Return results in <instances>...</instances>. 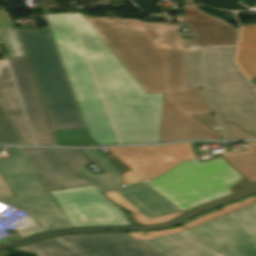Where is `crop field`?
I'll return each instance as SVG.
<instances>
[{
    "label": "crop field",
    "instance_id": "8a807250",
    "mask_svg": "<svg viewBox=\"0 0 256 256\" xmlns=\"http://www.w3.org/2000/svg\"><path fill=\"white\" fill-rule=\"evenodd\" d=\"M83 16L146 93H164L160 128L162 143L189 139L220 140V135L190 116L212 112V109L201 89L187 88L186 45L172 24ZM160 40L163 45H160Z\"/></svg>",
    "mask_w": 256,
    "mask_h": 256
},
{
    "label": "crop field",
    "instance_id": "ac0d7876",
    "mask_svg": "<svg viewBox=\"0 0 256 256\" xmlns=\"http://www.w3.org/2000/svg\"><path fill=\"white\" fill-rule=\"evenodd\" d=\"M121 144L161 143L163 93L146 94L81 13H71Z\"/></svg>",
    "mask_w": 256,
    "mask_h": 256
},
{
    "label": "crop field",
    "instance_id": "34b2d1b8",
    "mask_svg": "<svg viewBox=\"0 0 256 256\" xmlns=\"http://www.w3.org/2000/svg\"><path fill=\"white\" fill-rule=\"evenodd\" d=\"M90 138L118 143L67 13L44 14Z\"/></svg>",
    "mask_w": 256,
    "mask_h": 256
},
{
    "label": "crop field",
    "instance_id": "412701ff",
    "mask_svg": "<svg viewBox=\"0 0 256 256\" xmlns=\"http://www.w3.org/2000/svg\"><path fill=\"white\" fill-rule=\"evenodd\" d=\"M19 31L53 129L85 127L49 29Z\"/></svg>",
    "mask_w": 256,
    "mask_h": 256
},
{
    "label": "crop field",
    "instance_id": "f4fd0767",
    "mask_svg": "<svg viewBox=\"0 0 256 256\" xmlns=\"http://www.w3.org/2000/svg\"><path fill=\"white\" fill-rule=\"evenodd\" d=\"M241 178L221 158L202 163L192 159L147 183L184 212L230 196L228 188Z\"/></svg>",
    "mask_w": 256,
    "mask_h": 256
},
{
    "label": "crop field",
    "instance_id": "dd49c442",
    "mask_svg": "<svg viewBox=\"0 0 256 256\" xmlns=\"http://www.w3.org/2000/svg\"><path fill=\"white\" fill-rule=\"evenodd\" d=\"M236 45L204 46L206 94L221 121L256 135V93L233 63Z\"/></svg>",
    "mask_w": 256,
    "mask_h": 256
},
{
    "label": "crop field",
    "instance_id": "e52e79f7",
    "mask_svg": "<svg viewBox=\"0 0 256 256\" xmlns=\"http://www.w3.org/2000/svg\"><path fill=\"white\" fill-rule=\"evenodd\" d=\"M184 227L223 256H256V197L211 212Z\"/></svg>",
    "mask_w": 256,
    "mask_h": 256
},
{
    "label": "crop field",
    "instance_id": "d8731c3e",
    "mask_svg": "<svg viewBox=\"0 0 256 256\" xmlns=\"http://www.w3.org/2000/svg\"><path fill=\"white\" fill-rule=\"evenodd\" d=\"M7 148L11 159L0 160V173L42 231L71 227L19 148Z\"/></svg>",
    "mask_w": 256,
    "mask_h": 256
},
{
    "label": "crop field",
    "instance_id": "5a996713",
    "mask_svg": "<svg viewBox=\"0 0 256 256\" xmlns=\"http://www.w3.org/2000/svg\"><path fill=\"white\" fill-rule=\"evenodd\" d=\"M37 256H164L127 234L53 237L17 247Z\"/></svg>",
    "mask_w": 256,
    "mask_h": 256
},
{
    "label": "crop field",
    "instance_id": "3316defc",
    "mask_svg": "<svg viewBox=\"0 0 256 256\" xmlns=\"http://www.w3.org/2000/svg\"><path fill=\"white\" fill-rule=\"evenodd\" d=\"M72 227L130 224L93 185L49 192Z\"/></svg>",
    "mask_w": 256,
    "mask_h": 256
},
{
    "label": "crop field",
    "instance_id": "28ad6ade",
    "mask_svg": "<svg viewBox=\"0 0 256 256\" xmlns=\"http://www.w3.org/2000/svg\"><path fill=\"white\" fill-rule=\"evenodd\" d=\"M141 179L130 169L122 174V183L127 186L118 187L105 194L131 211L133 218L140 224L167 222L181 213L150 185L141 182Z\"/></svg>",
    "mask_w": 256,
    "mask_h": 256
},
{
    "label": "crop field",
    "instance_id": "d1516ede",
    "mask_svg": "<svg viewBox=\"0 0 256 256\" xmlns=\"http://www.w3.org/2000/svg\"><path fill=\"white\" fill-rule=\"evenodd\" d=\"M21 149L49 191L91 184L73 169L91 164L81 149Z\"/></svg>",
    "mask_w": 256,
    "mask_h": 256
},
{
    "label": "crop field",
    "instance_id": "22f410ed",
    "mask_svg": "<svg viewBox=\"0 0 256 256\" xmlns=\"http://www.w3.org/2000/svg\"><path fill=\"white\" fill-rule=\"evenodd\" d=\"M37 145H56L36 91L26 57L7 59Z\"/></svg>",
    "mask_w": 256,
    "mask_h": 256
},
{
    "label": "crop field",
    "instance_id": "cbeb9de0",
    "mask_svg": "<svg viewBox=\"0 0 256 256\" xmlns=\"http://www.w3.org/2000/svg\"><path fill=\"white\" fill-rule=\"evenodd\" d=\"M183 9L196 45L236 44L238 31L230 23L203 13L196 6Z\"/></svg>",
    "mask_w": 256,
    "mask_h": 256
},
{
    "label": "crop field",
    "instance_id": "5142ce71",
    "mask_svg": "<svg viewBox=\"0 0 256 256\" xmlns=\"http://www.w3.org/2000/svg\"><path fill=\"white\" fill-rule=\"evenodd\" d=\"M143 242L166 256H221L188 231Z\"/></svg>",
    "mask_w": 256,
    "mask_h": 256
},
{
    "label": "crop field",
    "instance_id": "d9b57169",
    "mask_svg": "<svg viewBox=\"0 0 256 256\" xmlns=\"http://www.w3.org/2000/svg\"><path fill=\"white\" fill-rule=\"evenodd\" d=\"M0 104L27 144L34 145L5 59L0 60Z\"/></svg>",
    "mask_w": 256,
    "mask_h": 256
},
{
    "label": "crop field",
    "instance_id": "733c2abd",
    "mask_svg": "<svg viewBox=\"0 0 256 256\" xmlns=\"http://www.w3.org/2000/svg\"><path fill=\"white\" fill-rule=\"evenodd\" d=\"M88 158L93 161L99 160L101 163L96 164L105 173L94 175L85 167L76 168L82 176H84L88 181H90L99 191L104 192L106 190L112 189L119 185L120 172L116 170L98 151L83 149Z\"/></svg>",
    "mask_w": 256,
    "mask_h": 256
},
{
    "label": "crop field",
    "instance_id": "4a817a6b",
    "mask_svg": "<svg viewBox=\"0 0 256 256\" xmlns=\"http://www.w3.org/2000/svg\"><path fill=\"white\" fill-rule=\"evenodd\" d=\"M248 151H233L221 155L253 184L256 183V141L244 143Z\"/></svg>",
    "mask_w": 256,
    "mask_h": 256
},
{
    "label": "crop field",
    "instance_id": "bc2a9ffb",
    "mask_svg": "<svg viewBox=\"0 0 256 256\" xmlns=\"http://www.w3.org/2000/svg\"><path fill=\"white\" fill-rule=\"evenodd\" d=\"M185 52L188 87L200 88L204 86L201 49L200 47H187Z\"/></svg>",
    "mask_w": 256,
    "mask_h": 256
},
{
    "label": "crop field",
    "instance_id": "214f88e0",
    "mask_svg": "<svg viewBox=\"0 0 256 256\" xmlns=\"http://www.w3.org/2000/svg\"><path fill=\"white\" fill-rule=\"evenodd\" d=\"M237 63L252 82L256 77V27L240 49Z\"/></svg>",
    "mask_w": 256,
    "mask_h": 256
},
{
    "label": "crop field",
    "instance_id": "92a150f3",
    "mask_svg": "<svg viewBox=\"0 0 256 256\" xmlns=\"http://www.w3.org/2000/svg\"><path fill=\"white\" fill-rule=\"evenodd\" d=\"M54 132L59 145L85 146L92 142L85 128Z\"/></svg>",
    "mask_w": 256,
    "mask_h": 256
},
{
    "label": "crop field",
    "instance_id": "dafd665d",
    "mask_svg": "<svg viewBox=\"0 0 256 256\" xmlns=\"http://www.w3.org/2000/svg\"><path fill=\"white\" fill-rule=\"evenodd\" d=\"M0 143L26 144L0 106Z\"/></svg>",
    "mask_w": 256,
    "mask_h": 256
},
{
    "label": "crop field",
    "instance_id": "00972430",
    "mask_svg": "<svg viewBox=\"0 0 256 256\" xmlns=\"http://www.w3.org/2000/svg\"><path fill=\"white\" fill-rule=\"evenodd\" d=\"M0 39L9 58L25 55L15 28L3 29L0 27Z\"/></svg>",
    "mask_w": 256,
    "mask_h": 256
},
{
    "label": "crop field",
    "instance_id": "a9b5d70f",
    "mask_svg": "<svg viewBox=\"0 0 256 256\" xmlns=\"http://www.w3.org/2000/svg\"><path fill=\"white\" fill-rule=\"evenodd\" d=\"M221 123L228 140L256 138L255 136L245 131H241L240 128L236 126L234 123H229V122H221Z\"/></svg>",
    "mask_w": 256,
    "mask_h": 256
},
{
    "label": "crop field",
    "instance_id": "4177f3b9",
    "mask_svg": "<svg viewBox=\"0 0 256 256\" xmlns=\"http://www.w3.org/2000/svg\"><path fill=\"white\" fill-rule=\"evenodd\" d=\"M185 230L186 229L182 226V227H179V228H176L173 230L149 231L148 233H146V236L143 235V231H139L136 233L130 232L128 234L140 241H143V240L160 237V236H164V235H168V234H173V233H177V232H181V231H185Z\"/></svg>",
    "mask_w": 256,
    "mask_h": 256
},
{
    "label": "crop field",
    "instance_id": "730fd06b",
    "mask_svg": "<svg viewBox=\"0 0 256 256\" xmlns=\"http://www.w3.org/2000/svg\"><path fill=\"white\" fill-rule=\"evenodd\" d=\"M15 194L12 192L10 187L7 185L5 180L0 175V199L14 197Z\"/></svg>",
    "mask_w": 256,
    "mask_h": 256
},
{
    "label": "crop field",
    "instance_id": "eef30255",
    "mask_svg": "<svg viewBox=\"0 0 256 256\" xmlns=\"http://www.w3.org/2000/svg\"><path fill=\"white\" fill-rule=\"evenodd\" d=\"M209 127L220 126L217 118L211 117L210 113L194 116Z\"/></svg>",
    "mask_w": 256,
    "mask_h": 256
},
{
    "label": "crop field",
    "instance_id": "ae1a2a85",
    "mask_svg": "<svg viewBox=\"0 0 256 256\" xmlns=\"http://www.w3.org/2000/svg\"><path fill=\"white\" fill-rule=\"evenodd\" d=\"M11 20L8 18L7 14L3 9L0 10V26L3 28L15 27L14 24L10 22Z\"/></svg>",
    "mask_w": 256,
    "mask_h": 256
},
{
    "label": "crop field",
    "instance_id": "d3111659",
    "mask_svg": "<svg viewBox=\"0 0 256 256\" xmlns=\"http://www.w3.org/2000/svg\"><path fill=\"white\" fill-rule=\"evenodd\" d=\"M0 203L26 211L25 207L22 205V203L19 201V199L0 202Z\"/></svg>",
    "mask_w": 256,
    "mask_h": 256
},
{
    "label": "crop field",
    "instance_id": "750c4746",
    "mask_svg": "<svg viewBox=\"0 0 256 256\" xmlns=\"http://www.w3.org/2000/svg\"><path fill=\"white\" fill-rule=\"evenodd\" d=\"M252 27H253V25H243L242 26L238 47L243 42V40L245 39V37L247 36V34L249 33V31L251 30ZM238 47H237V49H238Z\"/></svg>",
    "mask_w": 256,
    "mask_h": 256
},
{
    "label": "crop field",
    "instance_id": "bd1437ed",
    "mask_svg": "<svg viewBox=\"0 0 256 256\" xmlns=\"http://www.w3.org/2000/svg\"><path fill=\"white\" fill-rule=\"evenodd\" d=\"M192 143V146H193V149H194V153H195V156H201V155H206V154H209L208 153V150L205 149V150H199L197 147V143L196 142H191Z\"/></svg>",
    "mask_w": 256,
    "mask_h": 256
},
{
    "label": "crop field",
    "instance_id": "1d83c4d3",
    "mask_svg": "<svg viewBox=\"0 0 256 256\" xmlns=\"http://www.w3.org/2000/svg\"><path fill=\"white\" fill-rule=\"evenodd\" d=\"M8 255H12V254L6 250L0 251V256H8Z\"/></svg>",
    "mask_w": 256,
    "mask_h": 256
},
{
    "label": "crop field",
    "instance_id": "120bbe31",
    "mask_svg": "<svg viewBox=\"0 0 256 256\" xmlns=\"http://www.w3.org/2000/svg\"><path fill=\"white\" fill-rule=\"evenodd\" d=\"M181 2L183 3V5H187V4H191L193 0H181Z\"/></svg>",
    "mask_w": 256,
    "mask_h": 256
},
{
    "label": "crop field",
    "instance_id": "d32e631a",
    "mask_svg": "<svg viewBox=\"0 0 256 256\" xmlns=\"http://www.w3.org/2000/svg\"><path fill=\"white\" fill-rule=\"evenodd\" d=\"M254 27H255V25H254ZM254 27H253V28H254ZM253 28H252V30H253ZM252 30H251V31H252ZM251 31H250V32H251ZM249 34H250V33H249ZM249 34H248V35H249ZM247 37H248V36H247ZM247 37H246V38H247ZM245 40H246V39H245ZM245 40H244V41H245ZM243 43H244V42H243ZM243 43H242V44H243ZM242 44H241V46H242ZM241 46L239 47V49L241 48ZM239 49H238V51H239Z\"/></svg>",
    "mask_w": 256,
    "mask_h": 256
},
{
    "label": "crop field",
    "instance_id": "5866460e",
    "mask_svg": "<svg viewBox=\"0 0 256 256\" xmlns=\"http://www.w3.org/2000/svg\"><path fill=\"white\" fill-rule=\"evenodd\" d=\"M253 86L256 88V85H255V84H253Z\"/></svg>",
    "mask_w": 256,
    "mask_h": 256
}]
</instances>
